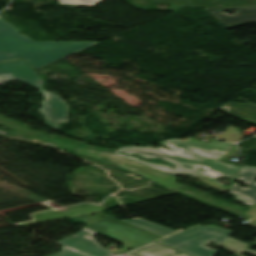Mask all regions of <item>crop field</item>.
Listing matches in <instances>:
<instances>
[{
    "instance_id": "1",
    "label": "crop field",
    "mask_w": 256,
    "mask_h": 256,
    "mask_svg": "<svg viewBox=\"0 0 256 256\" xmlns=\"http://www.w3.org/2000/svg\"><path fill=\"white\" fill-rule=\"evenodd\" d=\"M0 18V62L25 58L36 69L97 42H34ZM12 53L13 56H7Z\"/></svg>"
},
{
    "instance_id": "2",
    "label": "crop field",
    "mask_w": 256,
    "mask_h": 256,
    "mask_svg": "<svg viewBox=\"0 0 256 256\" xmlns=\"http://www.w3.org/2000/svg\"><path fill=\"white\" fill-rule=\"evenodd\" d=\"M159 144L170 150H166L162 148V146L157 149L163 151L182 164L194 166L192 170L227 190L228 187L215 180L222 176L234 178L240 168L239 166L219 162L234 144L218 141L202 143L186 140L181 142L179 139L168 140L160 142ZM198 167L204 168L206 171L202 172L196 170Z\"/></svg>"
},
{
    "instance_id": "3",
    "label": "crop field",
    "mask_w": 256,
    "mask_h": 256,
    "mask_svg": "<svg viewBox=\"0 0 256 256\" xmlns=\"http://www.w3.org/2000/svg\"><path fill=\"white\" fill-rule=\"evenodd\" d=\"M13 79L35 86L45 95V101L41 102L42 108L39 109V112L47 119L44 124L55 130H60L59 122H67L68 106L58 95L41 89V78L24 60L0 63V84Z\"/></svg>"
},
{
    "instance_id": "4",
    "label": "crop field",
    "mask_w": 256,
    "mask_h": 256,
    "mask_svg": "<svg viewBox=\"0 0 256 256\" xmlns=\"http://www.w3.org/2000/svg\"><path fill=\"white\" fill-rule=\"evenodd\" d=\"M231 233L232 231L216 226L198 225L194 228L166 237L165 240L159 243L194 256H214L216 250L205 248L202 245L210 241L223 245Z\"/></svg>"
},
{
    "instance_id": "5",
    "label": "crop field",
    "mask_w": 256,
    "mask_h": 256,
    "mask_svg": "<svg viewBox=\"0 0 256 256\" xmlns=\"http://www.w3.org/2000/svg\"><path fill=\"white\" fill-rule=\"evenodd\" d=\"M87 228L118 240L122 242V245L132 249L160 238L133 226L117 221L112 217V215L87 226Z\"/></svg>"
},
{
    "instance_id": "6",
    "label": "crop field",
    "mask_w": 256,
    "mask_h": 256,
    "mask_svg": "<svg viewBox=\"0 0 256 256\" xmlns=\"http://www.w3.org/2000/svg\"><path fill=\"white\" fill-rule=\"evenodd\" d=\"M90 151V152H88ZM78 153L86 154L94 158H100L106 157L112 162L117 163L119 166L128 169L130 171L136 172L138 174H141L165 187L172 188V189H177L179 185L175 182L177 178H174L172 176H169L167 174L158 172L156 170H153L151 168H148L144 165H141L137 162L131 161L129 159L114 155L112 153H105V152H97L93 150H87V149H82L77 151ZM131 168V169H129Z\"/></svg>"
},
{
    "instance_id": "7",
    "label": "crop field",
    "mask_w": 256,
    "mask_h": 256,
    "mask_svg": "<svg viewBox=\"0 0 256 256\" xmlns=\"http://www.w3.org/2000/svg\"><path fill=\"white\" fill-rule=\"evenodd\" d=\"M121 152H124L126 154H133V153H136L144 158H156V157H160L170 163H173V164H176L174 170H172L171 166H163V165H157V164H152V163H147V162H143V161H140L138 159H135V158H132V157H126V156H123V155H120L119 153ZM114 154H117V155H120V156H123V157H126V158H129L131 160H134V161H137L141 164H144L148 167H151L153 169H156L158 171H161V172H164V173H167L169 175H172L174 177H176L178 174L180 173H183V174H187V175H192V176H196V177H200V178H204L200 175H198L197 173H195L194 171H192L191 169H189L188 167L178 163L177 161H175L174 159H172L171 157L167 156L166 154L156 150L155 148L147 145V146H139V147H136V146H125V147H122L120 149H118L117 151L114 152ZM125 154V155H126Z\"/></svg>"
},
{
    "instance_id": "8",
    "label": "crop field",
    "mask_w": 256,
    "mask_h": 256,
    "mask_svg": "<svg viewBox=\"0 0 256 256\" xmlns=\"http://www.w3.org/2000/svg\"><path fill=\"white\" fill-rule=\"evenodd\" d=\"M95 233L87 228H83L79 233L71 235L58 243L89 256H109L111 252L98 244L93 238Z\"/></svg>"
},
{
    "instance_id": "9",
    "label": "crop field",
    "mask_w": 256,
    "mask_h": 256,
    "mask_svg": "<svg viewBox=\"0 0 256 256\" xmlns=\"http://www.w3.org/2000/svg\"><path fill=\"white\" fill-rule=\"evenodd\" d=\"M231 9L236 10L235 15H228L223 12ZM205 10L226 29L256 23V7L216 8Z\"/></svg>"
},
{
    "instance_id": "10",
    "label": "crop field",
    "mask_w": 256,
    "mask_h": 256,
    "mask_svg": "<svg viewBox=\"0 0 256 256\" xmlns=\"http://www.w3.org/2000/svg\"><path fill=\"white\" fill-rule=\"evenodd\" d=\"M220 109L237 118L256 123V105L226 103Z\"/></svg>"
},
{
    "instance_id": "11",
    "label": "crop field",
    "mask_w": 256,
    "mask_h": 256,
    "mask_svg": "<svg viewBox=\"0 0 256 256\" xmlns=\"http://www.w3.org/2000/svg\"><path fill=\"white\" fill-rule=\"evenodd\" d=\"M127 256H189L186 254L178 253L169 248L152 243L135 251H132Z\"/></svg>"
},
{
    "instance_id": "12",
    "label": "crop field",
    "mask_w": 256,
    "mask_h": 256,
    "mask_svg": "<svg viewBox=\"0 0 256 256\" xmlns=\"http://www.w3.org/2000/svg\"><path fill=\"white\" fill-rule=\"evenodd\" d=\"M122 221L130 225L136 226L138 228L144 229L146 231L152 232L154 234L160 235L162 237H165L169 234L176 232L168 228L143 221L141 219H131V220H122Z\"/></svg>"
},
{
    "instance_id": "13",
    "label": "crop field",
    "mask_w": 256,
    "mask_h": 256,
    "mask_svg": "<svg viewBox=\"0 0 256 256\" xmlns=\"http://www.w3.org/2000/svg\"><path fill=\"white\" fill-rule=\"evenodd\" d=\"M229 191L232 193L234 199L237 201H240L247 205H253L256 203V191H254L250 187L242 189L233 183Z\"/></svg>"
},
{
    "instance_id": "14",
    "label": "crop field",
    "mask_w": 256,
    "mask_h": 256,
    "mask_svg": "<svg viewBox=\"0 0 256 256\" xmlns=\"http://www.w3.org/2000/svg\"><path fill=\"white\" fill-rule=\"evenodd\" d=\"M246 246H247V243H243V242L228 238V240L225 242V244L222 247L232 252L236 256H241L240 254L241 252H246L256 256V251L245 249Z\"/></svg>"
},
{
    "instance_id": "15",
    "label": "crop field",
    "mask_w": 256,
    "mask_h": 256,
    "mask_svg": "<svg viewBox=\"0 0 256 256\" xmlns=\"http://www.w3.org/2000/svg\"><path fill=\"white\" fill-rule=\"evenodd\" d=\"M237 179L256 190V167L242 166Z\"/></svg>"
},
{
    "instance_id": "16",
    "label": "crop field",
    "mask_w": 256,
    "mask_h": 256,
    "mask_svg": "<svg viewBox=\"0 0 256 256\" xmlns=\"http://www.w3.org/2000/svg\"><path fill=\"white\" fill-rule=\"evenodd\" d=\"M101 0H57L59 4L76 5V6H94Z\"/></svg>"
},
{
    "instance_id": "17",
    "label": "crop field",
    "mask_w": 256,
    "mask_h": 256,
    "mask_svg": "<svg viewBox=\"0 0 256 256\" xmlns=\"http://www.w3.org/2000/svg\"><path fill=\"white\" fill-rule=\"evenodd\" d=\"M221 137V136H220ZM241 138L234 127L229 126L220 139L227 141H238Z\"/></svg>"
},
{
    "instance_id": "18",
    "label": "crop field",
    "mask_w": 256,
    "mask_h": 256,
    "mask_svg": "<svg viewBox=\"0 0 256 256\" xmlns=\"http://www.w3.org/2000/svg\"><path fill=\"white\" fill-rule=\"evenodd\" d=\"M51 256H86L81 253L75 252L73 250L67 249L65 247L62 248V251L55 253Z\"/></svg>"
},
{
    "instance_id": "19",
    "label": "crop field",
    "mask_w": 256,
    "mask_h": 256,
    "mask_svg": "<svg viewBox=\"0 0 256 256\" xmlns=\"http://www.w3.org/2000/svg\"><path fill=\"white\" fill-rule=\"evenodd\" d=\"M254 214L255 216H253L252 218L248 217L247 223L253 227H256V205L251 206L250 210L247 213V216Z\"/></svg>"
},
{
    "instance_id": "20",
    "label": "crop field",
    "mask_w": 256,
    "mask_h": 256,
    "mask_svg": "<svg viewBox=\"0 0 256 256\" xmlns=\"http://www.w3.org/2000/svg\"><path fill=\"white\" fill-rule=\"evenodd\" d=\"M179 176L188 177V178H194V179H200V178H196V177H192V176H187V175H183V174H180ZM200 180H202V181H204L206 184H208V185H210V186H212V187H214V188L220 190L221 192L226 191V190L223 189L222 187L216 185L215 183L211 182L210 180H208V179H206V178H205V179H200ZM204 182H203V183H204Z\"/></svg>"
},
{
    "instance_id": "21",
    "label": "crop field",
    "mask_w": 256,
    "mask_h": 256,
    "mask_svg": "<svg viewBox=\"0 0 256 256\" xmlns=\"http://www.w3.org/2000/svg\"><path fill=\"white\" fill-rule=\"evenodd\" d=\"M180 9H181L180 7H176V6L170 5V7L168 8L167 11H178Z\"/></svg>"
}]
</instances>
